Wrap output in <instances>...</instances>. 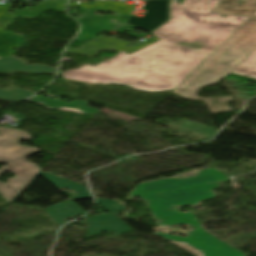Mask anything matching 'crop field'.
Returning a JSON list of instances; mask_svg holds the SVG:
<instances>
[{
    "instance_id": "21",
    "label": "crop field",
    "mask_w": 256,
    "mask_h": 256,
    "mask_svg": "<svg viewBox=\"0 0 256 256\" xmlns=\"http://www.w3.org/2000/svg\"><path fill=\"white\" fill-rule=\"evenodd\" d=\"M218 53L213 52L211 55L216 56Z\"/></svg>"
},
{
    "instance_id": "12",
    "label": "crop field",
    "mask_w": 256,
    "mask_h": 256,
    "mask_svg": "<svg viewBox=\"0 0 256 256\" xmlns=\"http://www.w3.org/2000/svg\"><path fill=\"white\" fill-rule=\"evenodd\" d=\"M44 177H46L51 183H53L57 188L66 187L79 193V196L70 197L71 199H81L91 197L87 189L78 183L68 181L59 177L51 176L46 173L40 172Z\"/></svg>"
},
{
    "instance_id": "16",
    "label": "crop field",
    "mask_w": 256,
    "mask_h": 256,
    "mask_svg": "<svg viewBox=\"0 0 256 256\" xmlns=\"http://www.w3.org/2000/svg\"><path fill=\"white\" fill-rule=\"evenodd\" d=\"M180 126H183V127H186V128L192 129V130H196V131H199L202 133H206L211 136H213L215 133L213 128H206L203 125L196 124V123H193V122H190L187 120H185L183 123H181Z\"/></svg>"
},
{
    "instance_id": "20",
    "label": "crop field",
    "mask_w": 256,
    "mask_h": 256,
    "mask_svg": "<svg viewBox=\"0 0 256 256\" xmlns=\"http://www.w3.org/2000/svg\"><path fill=\"white\" fill-rule=\"evenodd\" d=\"M242 60H240V59H236L233 63H235V64H238L239 62H241Z\"/></svg>"
},
{
    "instance_id": "11",
    "label": "crop field",
    "mask_w": 256,
    "mask_h": 256,
    "mask_svg": "<svg viewBox=\"0 0 256 256\" xmlns=\"http://www.w3.org/2000/svg\"><path fill=\"white\" fill-rule=\"evenodd\" d=\"M30 100H32L34 102H40L44 106L54 108V109L65 107V108H70V109H77L86 114H95L96 112H98V110H96V109L86 107V105H85L86 102H84V101H74L72 103H65V102H59V101H55V100L45 99L41 96H34Z\"/></svg>"
},
{
    "instance_id": "8",
    "label": "crop field",
    "mask_w": 256,
    "mask_h": 256,
    "mask_svg": "<svg viewBox=\"0 0 256 256\" xmlns=\"http://www.w3.org/2000/svg\"><path fill=\"white\" fill-rule=\"evenodd\" d=\"M44 209L60 226L65 223L64 219L67 217L87 213L71 199Z\"/></svg>"
},
{
    "instance_id": "13",
    "label": "crop field",
    "mask_w": 256,
    "mask_h": 256,
    "mask_svg": "<svg viewBox=\"0 0 256 256\" xmlns=\"http://www.w3.org/2000/svg\"><path fill=\"white\" fill-rule=\"evenodd\" d=\"M233 73L256 79V50H254L243 62L239 63L235 67Z\"/></svg>"
},
{
    "instance_id": "14",
    "label": "crop field",
    "mask_w": 256,
    "mask_h": 256,
    "mask_svg": "<svg viewBox=\"0 0 256 256\" xmlns=\"http://www.w3.org/2000/svg\"><path fill=\"white\" fill-rule=\"evenodd\" d=\"M11 87H13V86H11ZM33 94L34 93L23 91V90H20L17 88L12 91H5V90L0 89V98L7 99V100H20L23 98H27Z\"/></svg>"
},
{
    "instance_id": "3",
    "label": "crop field",
    "mask_w": 256,
    "mask_h": 256,
    "mask_svg": "<svg viewBox=\"0 0 256 256\" xmlns=\"http://www.w3.org/2000/svg\"><path fill=\"white\" fill-rule=\"evenodd\" d=\"M213 12L250 16L215 52L216 57L209 56L182 83L190 86L182 99L202 100L211 113L230 112L228 102L232 97L200 99L197 93L204 86L216 84L232 72L236 65L231 64L236 58L244 60L256 49V0H222Z\"/></svg>"
},
{
    "instance_id": "2",
    "label": "crop field",
    "mask_w": 256,
    "mask_h": 256,
    "mask_svg": "<svg viewBox=\"0 0 256 256\" xmlns=\"http://www.w3.org/2000/svg\"><path fill=\"white\" fill-rule=\"evenodd\" d=\"M207 56L159 40L131 55L122 52L97 66L86 64L62 75L90 83L125 84L138 90H170L181 84Z\"/></svg>"
},
{
    "instance_id": "7",
    "label": "crop field",
    "mask_w": 256,
    "mask_h": 256,
    "mask_svg": "<svg viewBox=\"0 0 256 256\" xmlns=\"http://www.w3.org/2000/svg\"><path fill=\"white\" fill-rule=\"evenodd\" d=\"M87 220L89 221L87 229L89 237L100 234L101 230L111 231L116 234L134 230L113 214L89 218Z\"/></svg>"
},
{
    "instance_id": "5",
    "label": "crop field",
    "mask_w": 256,
    "mask_h": 256,
    "mask_svg": "<svg viewBox=\"0 0 256 256\" xmlns=\"http://www.w3.org/2000/svg\"><path fill=\"white\" fill-rule=\"evenodd\" d=\"M31 138L30 134L17 129L0 128V162L10 163L0 169V175L3 172L15 174L13 178L8 179L7 184L0 182V194L7 202L15 198L39 171L42 170L25 159L27 155L40 150L17 144L19 140L28 141Z\"/></svg>"
},
{
    "instance_id": "1",
    "label": "crop field",
    "mask_w": 256,
    "mask_h": 256,
    "mask_svg": "<svg viewBox=\"0 0 256 256\" xmlns=\"http://www.w3.org/2000/svg\"><path fill=\"white\" fill-rule=\"evenodd\" d=\"M221 172L203 169L172 179L149 181L137 185L129 194L143 200L150 208L159 228L155 233L191 251L196 256H247L205 232L193 212L182 214L179 205L199 204L216 196L218 183L229 181ZM191 224L196 229L187 238L166 234L168 225Z\"/></svg>"
},
{
    "instance_id": "17",
    "label": "crop field",
    "mask_w": 256,
    "mask_h": 256,
    "mask_svg": "<svg viewBox=\"0 0 256 256\" xmlns=\"http://www.w3.org/2000/svg\"><path fill=\"white\" fill-rule=\"evenodd\" d=\"M157 40H159V39L155 38V39H153V40H151L149 42H146V43H144V44H142L140 46L128 47L126 50H124V52H126L128 54H131V53H133V52H135V51H137V50H139V49H141V48H143V47H145V46H147V45H149V44H151V43H153V42H155Z\"/></svg>"
},
{
    "instance_id": "19",
    "label": "crop field",
    "mask_w": 256,
    "mask_h": 256,
    "mask_svg": "<svg viewBox=\"0 0 256 256\" xmlns=\"http://www.w3.org/2000/svg\"><path fill=\"white\" fill-rule=\"evenodd\" d=\"M187 88H188V87H186V86L180 85V86H178V87L173 91V93L182 96V95L184 94V92L187 90Z\"/></svg>"
},
{
    "instance_id": "9",
    "label": "crop field",
    "mask_w": 256,
    "mask_h": 256,
    "mask_svg": "<svg viewBox=\"0 0 256 256\" xmlns=\"http://www.w3.org/2000/svg\"><path fill=\"white\" fill-rule=\"evenodd\" d=\"M118 37V36H116ZM114 37V38H116ZM114 38H106L105 36L96 39L92 43L86 44L81 51L78 50H71V49H66V52L69 53H86L88 55H95L98 49H109L111 47L115 48L117 51L121 52L125 48H127L125 45L131 43L119 39H114Z\"/></svg>"
},
{
    "instance_id": "4",
    "label": "crop field",
    "mask_w": 256,
    "mask_h": 256,
    "mask_svg": "<svg viewBox=\"0 0 256 256\" xmlns=\"http://www.w3.org/2000/svg\"><path fill=\"white\" fill-rule=\"evenodd\" d=\"M221 0H185L181 6L172 0L171 20L153 32L169 42L203 41L200 52L210 55L248 17L211 13ZM196 50V49H194Z\"/></svg>"
},
{
    "instance_id": "15",
    "label": "crop field",
    "mask_w": 256,
    "mask_h": 256,
    "mask_svg": "<svg viewBox=\"0 0 256 256\" xmlns=\"http://www.w3.org/2000/svg\"><path fill=\"white\" fill-rule=\"evenodd\" d=\"M96 202L110 213L117 214L118 211L125 210L124 205H118L115 201L96 199Z\"/></svg>"
},
{
    "instance_id": "10",
    "label": "crop field",
    "mask_w": 256,
    "mask_h": 256,
    "mask_svg": "<svg viewBox=\"0 0 256 256\" xmlns=\"http://www.w3.org/2000/svg\"><path fill=\"white\" fill-rule=\"evenodd\" d=\"M24 61H20L14 57L0 59V72L12 73L14 71H22L27 73H55L54 68L45 65L27 66Z\"/></svg>"
},
{
    "instance_id": "18",
    "label": "crop field",
    "mask_w": 256,
    "mask_h": 256,
    "mask_svg": "<svg viewBox=\"0 0 256 256\" xmlns=\"http://www.w3.org/2000/svg\"><path fill=\"white\" fill-rule=\"evenodd\" d=\"M126 26H128V27H132V28H134V27H135V26H131V25H126ZM126 26H123V27H121V28L117 29V31H116V32H117V33H121V34H123L124 30H125V31H129L127 35H130L131 37H133V36H135V37H137V36L142 37V36H144V35H145V34H143V33H140L139 35L132 34V33L130 32V30L125 29V28H126Z\"/></svg>"
},
{
    "instance_id": "6",
    "label": "crop field",
    "mask_w": 256,
    "mask_h": 256,
    "mask_svg": "<svg viewBox=\"0 0 256 256\" xmlns=\"http://www.w3.org/2000/svg\"><path fill=\"white\" fill-rule=\"evenodd\" d=\"M145 1L143 7L146 13L143 18L130 16L127 24L136 25L149 32L160 26L168 19L169 0H142Z\"/></svg>"
}]
</instances>
